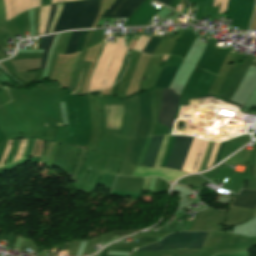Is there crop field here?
<instances>
[{
    "instance_id": "crop-field-1",
    "label": "crop field",
    "mask_w": 256,
    "mask_h": 256,
    "mask_svg": "<svg viewBox=\"0 0 256 256\" xmlns=\"http://www.w3.org/2000/svg\"><path fill=\"white\" fill-rule=\"evenodd\" d=\"M99 5L100 0H83L64 4L53 32L91 27L98 13Z\"/></svg>"
},
{
    "instance_id": "crop-field-2",
    "label": "crop field",
    "mask_w": 256,
    "mask_h": 256,
    "mask_svg": "<svg viewBox=\"0 0 256 256\" xmlns=\"http://www.w3.org/2000/svg\"><path fill=\"white\" fill-rule=\"evenodd\" d=\"M208 232H178L170 234L156 244L145 246L136 251L200 249Z\"/></svg>"
},
{
    "instance_id": "crop-field-3",
    "label": "crop field",
    "mask_w": 256,
    "mask_h": 256,
    "mask_svg": "<svg viewBox=\"0 0 256 256\" xmlns=\"http://www.w3.org/2000/svg\"><path fill=\"white\" fill-rule=\"evenodd\" d=\"M138 97H139L140 107H141L140 123H139V127L137 130V134L133 143L130 156L128 158V161L135 164L137 163L138 156L146 140L150 122H151L149 92L139 95Z\"/></svg>"
},
{
    "instance_id": "crop-field-4",
    "label": "crop field",
    "mask_w": 256,
    "mask_h": 256,
    "mask_svg": "<svg viewBox=\"0 0 256 256\" xmlns=\"http://www.w3.org/2000/svg\"><path fill=\"white\" fill-rule=\"evenodd\" d=\"M123 101L118 97L100 96L101 128L120 129Z\"/></svg>"
},
{
    "instance_id": "crop-field-5",
    "label": "crop field",
    "mask_w": 256,
    "mask_h": 256,
    "mask_svg": "<svg viewBox=\"0 0 256 256\" xmlns=\"http://www.w3.org/2000/svg\"><path fill=\"white\" fill-rule=\"evenodd\" d=\"M174 90L163 89L162 104L159 112L158 122L171 129L179 97L174 95ZM165 108L167 110H165Z\"/></svg>"
},
{
    "instance_id": "crop-field-6",
    "label": "crop field",
    "mask_w": 256,
    "mask_h": 256,
    "mask_svg": "<svg viewBox=\"0 0 256 256\" xmlns=\"http://www.w3.org/2000/svg\"><path fill=\"white\" fill-rule=\"evenodd\" d=\"M193 137L177 136L165 167L181 170L187 150Z\"/></svg>"
},
{
    "instance_id": "crop-field-7",
    "label": "crop field",
    "mask_w": 256,
    "mask_h": 256,
    "mask_svg": "<svg viewBox=\"0 0 256 256\" xmlns=\"http://www.w3.org/2000/svg\"><path fill=\"white\" fill-rule=\"evenodd\" d=\"M145 0H116L104 17L129 18Z\"/></svg>"
},
{
    "instance_id": "crop-field-8",
    "label": "crop field",
    "mask_w": 256,
    "mask_h": 256,
    "mask_svg": "<svg viewBox=\"0 0 256 256\" xmlns=\"http://www.w3.org/2000/svg\"><path fill=\"white\" fill-rule=\"evenodd\" d=\"M178 69L179 68H177V67L165 65L160 76H159V79L155 85V88H158V87H161V88L167 87L168 88L173 77L177 73Z\"/></svg>"
},
{
    "instance_id": "crop-field-9",
    "label": "crop field",
    "mask_w": 256,
    "mask_h": 256,
    "mask_svg": "<svg viewBox=\"0 0 256 256\" xmlns=\"http://www.w3.org/2000/svg\"><path fill=\"white\" fill-rule=\"evenodd\" d=\"M163 137L164 136L152 137L150 147L143 165L153 167Z\"/></svg>"
},
{
    "instance_id": "crop-field-10",
    "label": "crop field",
    "mask_w": 256,
    "mask_h": 256,
    "mask_svg": "<svg viewBox=\"0 0 256 256\" xmlns=\"http://www.w3.org/2000/svg\"><path fill=\"white\" fill-rule=\"evenodd\" d=\"M231 205L256 207V191L242 190Z\"/></svg>"
},
{
    "instance_id": "crop-field-11",
    "label": "crop field",
    "mask_w": 256,
    "mask_h": 256,
    "mask_svg": "<svg viewBox=\"0 0 256 256\" xmlns=\"http://www.w3.org/2000/svg\"><path fill=\"white\" fill-rule=\"evenodd\" d=\"M54 36L55 35H51V36H45V37L41 38L40 49H45V52L42 57L40 69H44V67H45V63H46V59H47V52L52 44Z\"/></svg>"
},
{
    "instance_id": "crop-field-12",
    "label": "crop field",
    "mask_w": 256,
    "mask_h": 256,
    "mask_svg": "<svg viewBox=\"0 0 256 256\" xmlns=\"http://www.w3.org/2000/svg\"><path fill=\"white\" fill-rule=\"evenodd\" d=\"M161 38H162L161 35L153 34V36L150 39V41L148 42L147 46L143 50V53L152 55L153 52L155 51L156 47L158 46Z\"/></svg>"
},
{
    "instance_id": "crop-field-13",
    "label": "crop field",
    "mask_w": 256,
    "mask_h": 256,
    "mask_svg": "<svg viewBox=\"0 0 256 256\" xmlns=\"http://www.w3.org/2000/svg\"><path fill=\"white\" fill-rule=\"evenodd\" d=\"M82 32L83 31H78V32L72 33L71 40H70L69 46H68L65 54L75 53Z\"/></svg>"
},
{
    "instance_id": "crop-field-14",
    "label": "crop field",
    "mask_w": 256,
    "mask_h": 256,
    "mask_svg": "<svg viewBox=\"0 0 256 256\" xmlns=\"http://www.w3.org/2000/svg\"><path fill=\"white\" fill-rule=\"evenodd\" d=\"M255 151H256V143H255V146H254L253 151H252V155H251V157H250V159H249V161H248V165H247L248 188H251V189H253V180H252L251 167H252V163H253L254 156H255V154H256Z\"/></svg>"
},
{
    "instance_id": "crop-field-15",
    "label": "crop field",
    "mask_w": 256,
    "mask_h": 256,
    "mask_svg": "<svg viewBox=\"0 0 256 256\" xmlns=\"http://www.w3.org/2000/svg\"><path fill=\"white\" fill-rule=\"evenodd\" d=\"M55 11H56V4H53V5H51V12H50V16H49V20H48L47 29H46V33L45 34H47V32H48L49 25H50V23H51V21L53 19Z\"/></svg>"
},
{
    "instance_id": "crop-field-16",
    "label": "crop field",
    "mask_w": 256,
    "mask_h": 256,
    "mask_svg": "<svg viewBox=\"0 0 256 256\" xmlns=\"http://www.w3.org/2000/svg\"><path fill=\"white\" fill-rule=\"evenodd\" d=\"M86 34H87V31H84L83 34H82V37H81V40H80V43H79V46H78L77 51H80V50H81L82 45H83V42H84L85 37H86Z\"/></svg>"
},
{
    "instance_id": "crop-field-17",
    "label": "crop field",
    "mask_w": 256,
    "mask_h": 256,
    "mask_svg": "<svg viewBox=\"0 0 256 256\" xmlns=\"http://www.w3.org/2000/svg\"><path fill=\"white\" fill-rule=\"evenodd\" d=\"M156 1H158V2H160L162 4H164V5H167V6L169 4V0H156Z\"/></svg>"
}]
</instances>
